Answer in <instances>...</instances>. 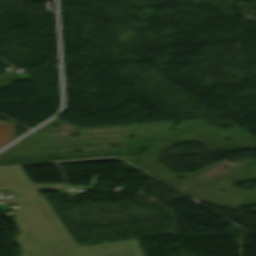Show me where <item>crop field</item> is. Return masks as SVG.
<instances>
[{"label": "crop field", "mask_w": 256, "mask_h": 256, "mask_svg": "<svg viewBox=\"0 0 256 256\" xmlns=\"http://www.w3.org/2000/svg\"><path fill=\"white\" fill-rule=\"evenodd\" d=\"M7 205L20 204L12 212L20 233L16 238L22 252L75 247L42 197L4 199Z\"/></svg>", "instance_id": "obj_1"}, {"label": "crop field", "mask_w": 256, "mask_h": 256, "mask_svg": "<svg viewBox=\"0 0 256 256\" xmlns=\"http://www.w3.org/2000/svg\"><path fill=\"white\" fill-rule=\"evenodd\" d=\"M21 256H143L136 239L80 248L27 252Z\"/></svg>", "instance_id": "obj_2"}, {"label": "crop field", "mask_w": 256, "mask_h": 256, "mask_svg": "<svg viewBox=\"0 0 256 256\" xmlns=\"http://www.w3.org/2000/svg\"><path fill=\"white\" fill-rule=\"evenodd\" d=\"M0 190L16 196L39 195L20 167L0 168Z\"/></svg>", "instance_id": "obj_3"}, {"label": "crop field", "mask_w": 256, "mask_h": 256, "mask_svg": "<svg viewBox=\"0 0 256 256\" xmlns=\"http://www.w3.org/2000/svg\"><path fill=\"white\" fill-rule=\"evenodd\" d=\"M15 123L0 121V140H11L14 138Z\"/></svg>", "instance_id": "obj_4"}, {"label": "crop field", "mask_w": 256, "mask_h": 256, "mask_svg": "<svg viewBox=\"0 0 256 256\" xmlns=\"http://www.w3.org/2000/svg\"><path fill=\"white\" fill-rule=\"evenodd\" d=\"M7 143H8V141H0V147L4 146Z\"/></svg>", "instance_id": "obj_5"}]
</instances>
